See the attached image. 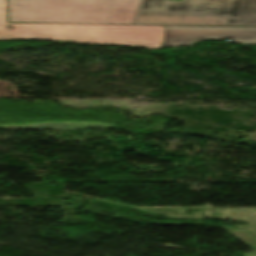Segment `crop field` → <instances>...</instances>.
<instances>
[{
	"instance_id": "obj_1",
	"label": "crop field",
	"mask_w": 256,
	"mask_h": 256,
	"mask_svg": "<svg viewBox=\"0 0 256 256\" xmlns=\"http://www.w3.org/2000/svg\"><path fill=\"white\" fill-rule=\"evenodd\" d=\"M68 40L160 49L163 26H103L67 24H8L6 0H0V40Z\"/></svg>"
},
{
	"instance_id": "obj_4",
	"label": "crop field",
	"mask_w": 256,
	"mask_h": 256,
	"mask_svg": "<svg viewBox=\"0 0 256 256\" xmlns=\"http://www.w3.org/2000/svg\"><path fill=\"white\" fill-rule=\"evenodd\" d=\"M228 38L231 43L256 44V27L164 26V48Z\"/></svg>"
},
{
	"instance_id": "obj_2",
	"label": "crop field",
	"mask_w": 256,
	"mask_h": 256,
	"mask_svg": "<svg viewBox=\"0 0 256 256\" xmlns=\"http://www.w3.org/2000/svg\"><path fill=\"white\" fill-rule=\"evenodd\" d=\"M133 24L256 26V0H142Z\"/></svg>"
},
{
	"instance_id": "obj_3",
	"label": "crop field",
	"mask_w": 256,
	"mask_h": 256,
	"mask_svg": "<svg viewBox=\"0 0 256 256\" xmlns=\"http://www.w3.org/2000/svg\"><path fill=\"white\" fill-rule=\"evenodd\" d=\"M141 0H9V21L132 24Z\"/></svg>"
}]
</instances>
